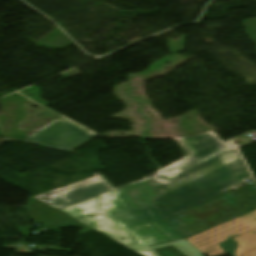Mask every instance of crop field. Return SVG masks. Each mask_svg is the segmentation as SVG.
<instances>
[{
    "label": "crop field",
    "mask_w": 256,
    "mask_h": 256,
    "mask_svg": "<svg viewBox=\"0 0 256 256\" xmlns=\"http://www.w3.org/2000/svg\"><path fill=\"white\" fill-rule=\"evenodd\" d=\"M249 180H252V178L251 179H249ZM246 184H248V182L247 181H245V182H243V183H241V184H239V185H237V186H235V187H233V188H231V189H229V190H227V191H225V192H223V193H220V194H218V195H216V196H214V197H212V198H210V199H208V200H206V201H209V200H211V199H214V198H216V197H218V196H221V195H223V194H226V193H228V192H231V191H233V190H235V189H237V188H239V187H242V186H244V185H246ZM206 201H204V202H206ZM204 202H202V203H204ZM201 204V203H200ZM199 205V204H198ZM197 206V205H196ZM195 207V206H194ZM191 208H193V207H191ZM190 209V208H189Z\"/></svg>",
    "instance_id": "obj_9"
},
{
    "label": "crop field",
    "mask_w": 256,
    "mask_h": 256,
    "mask_svg": "<svg viewBox=\"0 0 256 256\" xmlns=\"http://www.w3.org/2000/svg\"><path fill=\"white\" fill-rule=\"evenodd\" d=\"M60 121H66V122H70V123H72V124H74V125H77V126H79L78 124H76V123H74V122H72L71 120H69V119H67V118H62V119H60ZM79 127H81V126H79ZM83 128V127H82ZM85 129V128H84ZM86 133H88V134H91V135H93V136H95L96 134H94V133H92V132H90V131H87Z\"/></svg>",
    "instance_id": "obj_10"
},
{
    "label": "crop field",
    "mask_w": 256,
    "mask_h": 256,
    "mask_svg": "<svg viewBox=\"0 0 256 256\" xmlns=\"http://www.w3.org/2000/svg\"><path fill=\"white\" fill-rule=\"evenodd\" d=\"M178 141L190 153V155L181 161L145 178L142 181L114 189L102 176H100L89 181L68 187L64 190L46 194L39 197L38 199L60 210L89 200L91 198L132 186L148 179L167 174L176 169L183 168L187 165L197 163L220 155L224 152L236 149V147L229 142H220L213 133L181 139Z\"/></svg>",
    "instance_id": "obj_2"
},
{
    "label": "crop field",
    "mask_w": 256,
    "mask_h": 256,
    "mask_svg": "<svg viewBox=\"0 0 256 256\" xmlns=\"http://www.w3.org/2000/svg\"><path fill=\"white\" fill-rule=\"evenodd\" d=\"M30 228L31 226L22 229L24 236L30 235Z\"/></svg>",
    "instance_id": "obj_11"
},
{
    "label": "crop field",
    "mask_w": 256,
    "mask_h": 256,
    "mask_svg": "<svg viewBox=\"0 0 256 256\" xmlns=\"http://www.w3.org/2000/svg\"><path fill=\"white\" fill-rule=\"evenodd\" d=\"M155 197L146 181L61 211L143 256H153L145 247L183 238L163 221L151 202Z\"/></svg>",
    "instance_id": "obj_1"
},
{
    "label": "crop field",
    "mask_w": 256,
    "mask_h": 256,
    "mask_svg": "<svg viewBox=\"0 0 256 256\" xmlns=\"http://www.w3.org/2000/svg\"><path fill=\"white\" fill-rule=\"evenodd\" d=\"M256 206V184H248L231 193L183 211L166 220L186 239L232 220Z\"/></svg>",
    "instance_id": "obj_3"
},
{
    "label": "crop field",
    "mask_w": 256,
    "mask_h": 256,
    "mask_svg": "<svg viewBox=\"0 0 256 256\" xmlns=\"http://www.w3.org/2000/svg\"><path fill=\"white\" fill-rule=\"evenodd\" d=\"M148 249V248H147ZM149 250V249H148ZM150 251V250H149ZM154 256H156L152 251H150Z\"/></svg>",
    "instance_id": "obj_13"
},
{
    "label": "crop field",
    "mask_w": 256,
    "mask_h": 256,
    "mask_svg": "<svg viewBox=\"0 0 256 256\" xmlns=\"http://www.w3.org/2000/svg\"><path fill=\"white\" fill-rule=\"evenodd\" d=\"M182 170H183V169L176 170V171H174V172H172V173H169V174H167V175H169V176H171V177H176L177 173H178L179 171H182Z\"/></svg>",
    "instance_id": "obj_12"
},
{
    "label": "crop field",
    "mask_w": 256,
    "mask_h": 256,
    "mask_svg": "<svg viewBox=\"0 0 256 256\" xmlns=\"http://www.w3.org/2000/svg\"><path fill=\"white\" fill-rule=\"evenodd\" d=\"M85 131L70 123L57 121L26 141L70 151L93 137Z\"/></svg>",
    "instance_id": "obj_7"
},
{
    "label": "crop field",
    "mask_w": 256,
    "mask_h": 256,
    "mask_svg": "<svg viewBox=\"0 0 256 256\" xmlns=\"http://www.w3.org/2000/svg\"><path fill=\"white\" fill-rule=\"evenodd\" d=\"M3 141H5V140L0 139V143H2Z\"/></svg>",
    "instance_id": "obj_14"
},
{
    "label": "crop field",
    "mask_w": 256,
    "mask_h": 256,
    "mask_svg": "<svg viewBox=\"0 0 256 256\" xmlns=\"http://www.w3.org/2000/svg\"><path fill=\"white\" fill-rule=\"evenodd\" d=\"M256 228V211L236 218L202 234L188 239L201 254L207 256H222L225 252L233 256H256V229L225 243H218Z\"/></svg>",
    "instance_id": "obj_4"
},
{
    "label": "crop field",
    "mask_w": 256,
    "mask_h": 256,
    "mask_svg": "<svg viewBox=\"0 0 256 256\" xmlns=\"http://www.w3.org/2000/svg\"><path fill=\"white\" fill-rule=\"evenodd\" d=\"M183 169L204 200L251 178L237 149Z\"/></svg>",
    "instance_id": "obj_5"
},
{
    "label": "crop field",
    "mask_w": 256,
    "mask_h": 256,
    "mask_svg": "<svg viewBox=\"0 0 256 256\" xmlns=\"http://www.w3.org/2000/svg\"><path fill=\"white\" fill-rule=\"evenodd\" d=\"M150 181L159 195L154 202L165 219L204 201L186 171L176 178L163 175Z\"/></svg>",
    "instance_id": "obj_6"
},
{
    "label": "crop field",
    "mask_w": 256,
    "mask_h": 256,
    "mask_svg": "<svg viewBox=\"0 0 256 256\" xmlns=\"http://www.w3.org/2000/svg\"><path fill=\"white\" fill-rule=\"evenodd\" d=\"M53 208L54 207L34 198L33 196H30L27 204V210L29 212V215L34 218V224L41 223L44 225L46 230L83 224Z\"/></svg>",
    "instance_id": "obj_8"
}]
</instances>
